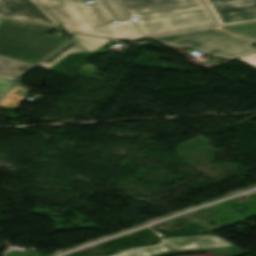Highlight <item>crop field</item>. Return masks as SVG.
I'll list each match as a JSON object with an SVG mask.
<instances>
[{
  "instance_id": "8",
  "label": "crop field",
  "mask_w": 256,
  "mask_h": 256,
  "mask_svg": "<svg viewBox=\"0 0 256 256\" xmlns=\"http://www.w3.org/2000/svg\"><path fill=\"white\" fill-rule=\"evenodd\" d=\"M108 28L118 39H139L142 36L139 34L131 21L119 24L109 25Z\"/></svg>"
},
{
  "instance_id": "5",
  "label": "crop field",
  "mask_w": 256,
  "mask_h": 256,
  "mask_svg": "<svg viewBox=\"0 0 256 256\" xmlns=\"http://www.w3.org/2000/svg\"><path fill=\"white\" fill-rule=\"evenodd\" d=\"M219 25L256 20V0H205Z\"/></svg>"
},
{
  "instance_id": "11",
  "label": "crop field",
  "mask_w": 256,
  "mask_h": 256,
  "mask_svg": "<svg viewBox=\"0 0 256 256\" xmlns=\"http://www.w3.org/2000/svg\"><path fill=\"white\" fill-rule=\"evenodd\" d=\"M222 29L256 40V22L223 27Z\"/></svg>"
},
{
  "instance_id": "2",
  "label": "crop field",
  "mask_w": 256,
  "mask_h": 256,
  "mask_svg": "<svg viewBox=\"0 0 256 256\" xmlns=\"http://www.w3.org/2000/svg\"><path fill=\"white\" fill-rule=\"evenodd\" d=\"M53 29L36 23L3 20L0 23V55L37 64L69 41L48 35Z\"/></svg>"
},
{
  "instance_id": "9",
  "label": "crop field",
  "mask_w": 256,
  "mask_h": 256,
  "mask_svg": "<svg viewBox=\"0 0 256 256\" xmlns=\"http://www.w3.org/2000/svg\"><path fill=\"white\" fill-rule=\"evenodd\" d=\"M85 51L81 45L74 39L70 43H68L66 46H64L62 49L57 51L55 54L47 58L45 61L40 63L38 66H41L43 68L48 69L53 64H55L57 61H59L61 58H63L68 53H74V52H83Z\"/></svg>"
},
{
  "instance_id": "4",
  "label": "crop field",
  "mask_w": 256,
  "mask_h": 256,
  "mask_svg": "<svg viewBox=\"0 0 256 256\" xmlns=\"http://www.w3.org/2000/svg\"><path fill=\"white\" fill-rule=\"evenodd\" d=\"M206 250L222 256H241L244 252L218 236L164 238L158 245L134 247L113 256H157L170 252Z\"/></svg>"
},
{
  "instance_id": "7",
  "label": "crop field",
  "mask_w": 256,
  "mask_h": 256,
  "mask_svg": "<svg viewBox=\"0 0 256 256\" xmlns=\"http://www.w3.org/2000/svg\"><path fill=\"white\" fill-rule=\"evenodd\" d=\"M33 64L5 58L0 56V77L14 81L20 74L22 69L27 70Z\"/></svg>"
},
{
  "instance_id": "12",
  "label": "crop field",
  "mask_w": 256,
  "mask_h": 256,
  "mask_svg": "<svg viewBox=\"0 0 256 256\" xmlns=\"http://www.w3.org/2000/svg\"><path fill=\"white\" fill-rule=\"evenodd\" d=\"M27 92L21 91L16 96L8 94L4 100L0 103V107L16 110Z\"/></svg>"
},
{
  "instance_id": "10",
  "label": "crop field",
  "mask_w": 256,
  "mask_h": 256,
  "mask_svg": "<svg viewBox=\"0 0 256 256\" xmlns=\"http://www.w3.org/2000/svg\"><path fill=\"white\" fill-rule=\"evenodd\" d=\"M72 35L83 46V48L90 54L110 41L108 39H101V38L74 35V34Z\"/></svg>"
},
{
  "instance_id": "14",
  "label": "crop field",
  "mask_w": 256,
  "mask_h": 256,
  "mask_svg": "<svg viewBox=\"0 0 256 256\" xmlns=\"http://www.w3.org/2000/svg\"><path fill=\"white\" fill-rule=\"evenodd\" d=\"M239 60L256 67V53L241 57Z\"/></svg>"
},
{
  "instance_id": "1",
  "label": "crop field",
  "mask_w": 256,
  "mask_h": 256,
  "mask_svg": "<svg viewBox=\"0 0 256 256\" xmlns=\"http://www.w3.org/2000/svg\"><path fill=\"white\" fill-rule=\"evenodd\" d=\"M66 30L112 38L88 0H36ZM103 21L135 22L144 37L216 27L201 0H93Z\"/></svg>"
},
{
  "instance_id": "13",
  "label": "crop field",
  "mask_w": 256,
  "mask_h": 256,
  "mask_svg": "<svg viewBox=\"0 0 256 256\" xmlns=\"http://www.w3.org/2000/svg\"><path fill=\"white\" fill-rule=\"evenodd\" d=\"M2 20H0L1 22ZM16 86V82L0 79V98L10 89Z\"/></svg>"
},
{
  "instance_id": "6",
  "label": "crop field",
  "mask_w": 256,
  "mask_h": 256,
  "mask_svg": "<svg viewBox=\"0 0 256 256\" xmlns=\"http://www.w3.org/2000/svg\"><path fill=\"white\" fill-rule=\"evenodd\" d=\"M0 17H21L52 26L59 25L35 0H0Z\"/></svg>"
},
{
  "instance_id": "3",
  "label": "crop field",
  "mask_w": 256,
  "mask_h": 256,
  "mask_svg": "<svg viewBox=\"0 0 256 256\" xmlns=\"http://www.w3.org/2000/svg\"><path fill=\"white\" fill-rule=\"evenodd\" d=\"M155 40L164 45H183L228 59L256 50L249 47L256 42L216 29L156 38Z\"/></svg>"
}]
</instances>
